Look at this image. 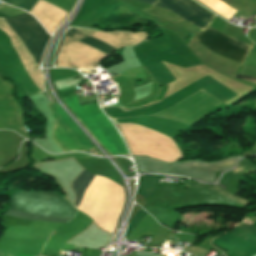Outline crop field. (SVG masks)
Segmentation results:
<instances>
[{"instance_id": "8a807250", "label": "crop field", "mask_w": 256, "mask_h": 256, "mask_svg": "<svg viewBox=\"0 0 256 256\" xmlns=\"http://www.w3.org/2000/svg\"><path fill=\"white\" fill-rule=\"evenodd\" d=\"M11 208L24 212L75 216L77 210L66 200L51 192H18L11 197ZM10 209L6 215L22 219L67 223L73 217L29 214Z\"/></svg>"}, {"instance_id": "ac0d7876", "label": "crop field", "mask_w": 256, "mask_h": 256, "mask_svg": "<svg viewBox=\"0 0 256 256\" xmlns=\"http://www.w3.org/2000/svg\"><path fill=\"white\" fill-rule=\"evenodd\" d=\"M65 104L76 114V116L81 120V122L84 124V126L87 128V130L90 132V134L94 137V139L99 142L102 147L110 154V155H115V154H124L128 153L126 150V147L118 135L116 129L112 126V124L107 120V118L104 116V114L101 112L99 109L98 103L95 104H89V105H83V109L80 106L78 100L76 97H66L63 98Z\"/></svg>"}, {"instance_id": "34b2d1b8", "label": "crop field", "mask_w": 256, "mask_h": 256, "mask_svg": "<svg viewBox=\"0 0 256 256\" xmlns=\"http://www.w3.org/2000/svg\"><path fill=\"white\" fill-rule=\"evenodd\" d=\"M53 113L56 123L52 132V138L56 144L65 152L83 151L93 149L92 144L74 124V122L62 111L59 105L54 102L48 104Z\"/></svg>"}, {"instance_id": "412701ff", "label": "crop field", "mask_w": 256, "mask_h": 256, "mask_svg": "<svg viewBox=\"0 0 256 256\" xmlns=\"http://www.w3.org/2000/svg\"><path fill=\"white\" fill-rule=\"evenodd\" d=\"M3 19L14 30L39 66L44 47L50 38L44 28L33 16L27 13Z\"/></svg>"}, {"instance_id": "f4fd0767", "label": "crop field", "mask_w": 256, "mask_h": 256, "mask_svg": "<svg viewBox=\"0 0 256 256\" xmlns=\"http://www.w3.org/2000/svg\"><path fill=\"white\" fill-rule=\"evenodd\" d=\"M192 39L218 55L241 64H243L250 49V46L240 43L209 26Z\"/></svg>"}, {"instance_id": "dd49c442", "label": "crop field", "mask_w": 256, "mask_h": 256, "mask_svg": "<svg viewBox=\"0 0 256 256\" xmlns=\"http://www.w3.org/2000/svg\"><path fill=\"white\" fill-rule=\"evenodd\" d=\"M211 244L237 256L256 253V227L239 223L230 232L211 241Z\"/></svg>"}, {"instance_id": "e52e79f7", "label": "crop field", "mask_w": 256, "mask_h": 256, "mask_svg": "<svg viewBox=\"0 0 256 256\" xmlns=\"http://www.w3.org/2000/svg\"><path fill=\"white\" fill-rule=\"evenodd\" d=\"M155 6L176 12L197 33L203 31L213 17L190 0H158Z\"/></svg>"}, {"instance_id": "d8731c3e", "label": "crop field", "mask_w": 256, "mask_h": 256, "mask_svg": "<svg viewBox=\"0 0 256 256\" xmlns=\"http://www.w3.org/2000/svg\"><path fill=\"white\" fill-rule=\"evenodd\" d=\"M237 159L234 156L215 163H202L198 160L175 162L171 164V173L190 176L201 181L214 182L215 171L232 168Z\"/></svg>"}, {"instance_id": "5a996713", "label": "crop field", "mask_w": 256, "mask_h": 256, "mask_svg": "<svg viewBox=\"0 0 256 256\" xmlns=\"http://www.w3.org/2000/svg\"><path fill=\"white\" fill-rule=\"evenodd\" d=\"M96 177V175H93V174H90L88 173L86 170L80 174L75 180L74 182L72 183V188L74 189L76 195H77V202L76 204L74 205L77 209H79V206H80V203H81V200H82V197H83V194H84V191L85 189L88 187V185L94 180V178ZM100 177L97 176L95 178V180L89 185V187L86 189L85 191V194H84V197H83V200H82V203H81V206H80V211H84V208H85V204H86V201H87V198H88V194H89V191L90 189L93 187V185L98 181ZM123 189V193H124V201H123V207L117 217V220H116V223H115V226H114V229L112 231L111 234H114L115 230L117 229V226H118V222H119V219H120V216H121V213L125 207V204H126V191L124 188Z\"/></svg>"}, {"instance_id": "3316defc", "label": "crop field", "mask_w": 256, "mask_h": 256, "mask_svg": "<svg viewBox=\"0 0 256 256\" xmlns=\"http://www.w3.org/2000/svg\"><path fill=\"white\" fill-rule=\"evenodd\" d=\"M77 32H78V30H76L74 28L68 29V31L66 32V34L62 38V40H61V42H60V44L58 46L56 57H55V66L56 67H58V65L56 64V61H57V56H58L59 48H60V46H61L65 36L68 35V36L73 38ZM83 35H84V33L79 31L77 33V35L74 37V39L79 41ZM80 42H82V43H84V44H86V45H88V46H90V47H92V48H94V49H96V50L106 54V55H108L111 52H113L114 50H116V49H114V48H112V47H110V46H108V45H106V44H104V43H102V42H100V41H98V40H96V39L86 35V34L83 36V38L80 40Z\"/></svg>"}, {"instance_id": "28ad6ade", "label": "crop field", "mask_w": 256, "mask_h": 256, "mask_svg": "<svg viewBox=\"0 0 256 256\" xmlns=\"http://www.w3.org/2000/svg\"><path fill=\"white\" fill-rule=\"evenodd\" d=\"M194 83L204 90L212 93L224 103L236 96L234 93L210 78L208 75Z\"/></svg>"}, {"instance_id": "d1516ede", "label": "crop field", "mask_w": 256, "mask_h": 256, "mask_svg": "<svg viewBox=\"0 0 256 256\" xmlns=\"http://www.w3.org/2000/svg\"><path fill=\"white\" fill-rule=\"evenodd\" d=\"M139 172L169 173L170 164L147 156H133Z\"/></svg>"}, {"instance_id": "22f410ed", "label": "crop field", "mask_w": 256, "mask_h": 256, "mask_svg": "<svg viewBox=\"0 0 256 256\" xmlns=\"http://www.w3.org/2000/svg\"><path fill=\"white\" fill-rule=\"evenodd\" d=\"M162 87L176 80L163 62L144 67Z\"/></svg>"}, {"instance_id": "cbeb9de0", "label": "crop field", "mask_w": 256, "mask_h": 256, "mask_svg": "<svg viewBox=\"0 0 256 256\" xmlns=\"http://www.w3.org/2000/svg\"><path fill=\"white\" fill-rule=\"evenodd\" d=\"M187 187L208 189V190H210L212 192H215V193H217V194H219L221 196H224V197H226L228 199H231V200H233V201H235L237 203H240V204H242L244 206L248 203V201H246L244 199H241V198H239L237 196H234V195H232V194H230V193H228V192H226V191H224V190H222L220 188H217V187H211V186L200 185V184H187Z\"/></svg>"}, {"instance_id": "5142ce71", "label": "crop field", "mask_w": 256, "mask_h": 256, "mask_svg": "<svg viewBox=\"0 0 256 256\" xmlns=\"http://www.w3.org/2000/svg\"><path fill=\"white\" fill-rule=\"evenodd\" d=\"M147 213L141 208L134 216L133 218L129 221L127 231L125 234V239L127 236L132 232V230L138 225V223L144 218V216Z\"/></svg>"}, {"instance_id": "d9b57169", "label": "crop field", "mask_w": 256, "mask_h": 256, "mask_svg": "<svg viewBox=\"0 0 256 256\" xmlns=\"http://www.w3.org/2000/svg\"><path fill=\"white\" fill-rule=\"evenodd\" d=\"M251 154H256V142L251 146V149L247 150L243 155L241 156H245V155H251ZM240 156V157H241Z\"/></svg>"}, {"instance_id": "733c2abd", "label": "crop field", "mask_w": 256, "mask_h": 256, "mask_svg": "<svg viewBox=\"0 0 256 256\" xmlns=\"http://www.w3.org/2000/svg\"><path fill=\"white\" fill-rule=\"evenodd\" d=\"M235 78L242 79V80H247V81H251V82H256V78L243 76V75H239V74H237Z\"/></svg>"}, {"instance_id": "4a817a6b", "label": "crop field", "mask_w": 256, "mask_h": 256, "mask_svg": "<svg viewBox=\"0 0 256 256\" xmlns=\"http://www.w3.org/2000/svg\"><path fill=\"white\" fill-rule=\"evenodd\" d=\"M136 1L143 2V3H146V4H149V5H152V6H153V4H155V2H156L157 0H144V1H147V2H150V3H153V4H150V3H147V2H144V1H141V0H136Z\"/></svg>"}, {"instance_id": "bc2a9ffb", "label": "crop field", "mask_w": 256, "mask_h": 256, "mask_svg": "<svg viewBox=\"0 0 256 256\" xmlns=\"http://www.w3.org/2000/svg\"><path fill=\"white\" fill-rule=\"evenodd\" d=\"M0 17H9V16H7V15H5V14L0 12Z\"/></svg>"}, {"instance_id": "214f88e0", "label": "crop field", "mask_w": 256, "mask_h": 256, "mask_svg": "<svg viewBox=\"0 0 256 256\" xmlns=\"http://www.w3.org/2000/svg\"><path fill=\"white\" fill-rule=\"evenodd\" d=\"M254 256H256V255H254Z\"/></svg>"}, {"instance_id": "92a150f3", "label": "crop field", "mask_w": 256, "mask_h": 256, "mask_svg": "<svg viewBox=\"0 0 256 256\" xmlns=\"http://www.w3.org/2000/svg\"><path fill=\"white\" fill-rule=\"evenodd\" d=\"M191 256V255H190Z\"/></svg>"}]
</instances>
